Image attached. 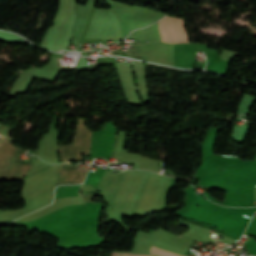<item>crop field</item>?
Returning <instances> with one entry per match:
<instances>
[{"label": "crop field", "mask_w": 256, "mask_h": 256, "mask_svg": "<svg viewBox=\"0 0 256 256\" xmlns=\"http://www.w3.org/2000/svg\"><path fill=\"white\" fill-rule=\"evenodd\" d=\"M158 23L162 41L169 43L189 42L183 20L166 16Z\"/></svg>", "instance_id": "obj_1"}, {"label": "crop field", "mask_w": 256, "mask_h": 256, "mask_svg": "<svg viewBox=\"0 0 256 256\" xmlns=\"http://www.w3.org/2000/svg\"><path fill=\"white\" fill-rule=\"evenodd\" d=\"M150 253L156 254L158 256H179L177 254H174L172 252L169 251H165L156 247H151Z\"/></svg>", "instance_id": "obj_2"}, {"label": "crop field", "mask_w": 256, "mask_h": 256, "mask_svg": "<svg viewBox=\"0 0 256 256\" xmlns=\"http://www.w3.org/2000/svg\"><path fill=\"white\" fill-rule=\"evenodd\" d=\"M112 256H152V255H142V254H129V253H116V252H112Z\"/></svg>", "instance_id": "obj_3"}]
</instances>
